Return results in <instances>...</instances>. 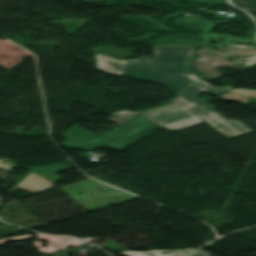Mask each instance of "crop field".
Masks as SVG:
<instances>
[{"label": "crop field", "mask_w": 256, "mask_h": 256, "mask_svg": "<svg viewBox=\"0 0 256 256\" xmlns=\"http://www.w3.org/2000/svg\"><path fill=\"white\" fill-rule=\"evenodd\" d=\"M247 60H249V61L246 62V63H244V64H246V65H248V66H250V65H252V64H254V63H256V55H254V56L248 58Z\"/></svg>", "instance_id": "8"}, {"label": "crop field", "mask_w": 256, "mask_h": 256, "mask_svg": "<svg viewBox=\"0 0 256 256\" xmlns=\"http://www.w3.org/2000/svg\"><path fill=\"white\" fill-rule=\"evenodd\" d=\"M206 90L222 95L232 89L211 87L199 81L165 105L140 113L131 110L117 111L107 119L120 124L138 113L169 131L205 121L226 138L251 131L236 119L223 118L213 111V106L194 96Z\"/></svg>", "instance_id": "1"}, {"label": "crop field", "mask_w": 256, "mask_h": 256, "mask_svg": "<svg viewBox=\"0 0 256 256\" xmlns=\"http://www.w3.org/2000/svg\"><path fill=\"white\" fill-rule=\"evenodd\" d=\"M233 92H237L240 94H244V95H248L251 97H255L256 98V91H248V90H235Z\"/></svg>", "instance_id": "6"}, {"label": "crop field", "mask_w": 256, "mask_h": 256, "mask_svg": "<svg viewBox=\"0 0 256 256\" xmlns=\"http://www.w3.org/2000/svg\"><path fill=\"white\" fill-rule=\"evenodd\" d=\"M192 248L186 250H150L147 252H137V251H122L123 253L128 256H182Z\"/></svg>", "instance_id": "3"}, {"label": "crop field", "mask_w": 256, "mask_h": 256, "mask_svg": "<svg viewBox=\"0 0 256 256\" xmlns=\"http://www.w3.org/2000/svg\"><path fill=\"white\" fill-rule=\"evenodd\" d=\"M42 168H45L53 173H56L58 171H61L63 169H66V168H69L71 167V165H66V164H52V165H49V166H40Z\"/></svg>", "instance_id": "4"}, {"label": "crop field", "mask_w": 256, "mask_h": 256, "mask_svg": "<svg viewBox=\"0 0 256 256\" xmlns=\"http://www.w3.org/2000/svg\"><path fill=\"white\" fill-rule=\"evenodd\" d=\"M194 47L195 45L153 44L154 57L140 60L119 61L95 53L96 69L161 83L173 92L179 93L199 80L187 65Z\"/></svg>", "instance_id": "2"}, {"label": "crop field", "mask_w": 256, "mask_h": 256, "mask_svg": "<svg viewBox=\"0 0 256 256\" xmlns=\"http://www.w3.org/2000/svg\"><path fill=\"white\" fill-rule=\"evenodd\" d=\"M211 253L207 251H198L190 256H210Z\"/></svg>", "instance_id": "7"}, {"label": "crop field", "mask_w": 256, "mask_h": 256, "mask_svg": "<svg viewBox=\"0 0 256 256\" xmlns=\"http://www.w3.org/2000/svg\"><path fill=\"white\" fill-rule=\"evenodd\" d=\"M227 99H231V100H235V101H239V102H244V103H247L249 101H251L252 99L250 98H247L245 96H242V95H238V94H234V93H229L225 96H223Z\"/></svg>", "instance_id": "5"}]
</instances>
